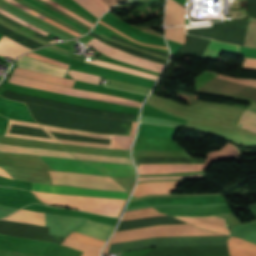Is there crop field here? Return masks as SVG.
I'll list each match as a JSON object with an SVG mask.
<instances>
[{
	"mask_svg": "<svg viewBox=\"0 0 256 256\" xmlns=\"http://www.w3.org/2000/svg\"><path fill=\"white\" fill-rule=\"evenodd\" d=\"M32 191L54 193V194H65V195H79V196H91L111 199L125 200L128 193L119 192H108L90 190L78 187L69 186H51L45 184H39L33 182ZM37 198L41 201L52 204L62 205L69 208L80 209L98 214H104L109 216H118L125 201L90 198V197H79V196H65V195H54L45 193L33 192Z\"/></svg>",
	"mask_w": 256,
	"mask_h": 256,
	"instance_id": "1",
	"label": "crop field"
},
{
	"mask_svg": "<svg viewBox=\"0 0 256 256\" xmlns=\"http://www.w3.org/2000/svg\"><path fill=\"white\" fill-rule=\"evenodd\" d=\"M229 237L154 238L111 245L108 253L161 245H227Z\"/></svg>",
	"mask_w": 256,
	"mask_h": 256,
	"instance_id": "2",
	"label": "crop field"
},
{
	"mask_svg": "<svg viewBox=\"0 0 256 256\" xmlns=\"http://www.w3.org/2000/svg\"><path fill=\"white\" fill-rule=\"evenodd\" d=\"M9 83L23 85L26 87L37 88V89L50 91V92L65 93V94L74 95V96L111 101V102H116V103L125 104V105L140 107L142 104L140 102H136V101L120 98V97L93 93V92L77 90V89H71V88H65V87H61L53 84L40 83L33 80L15 77V76L11 77V79L9 80Z\"/></svg>",
	"mask_w": 256,
	"mask_h": 256,
	"instance_id": "3",
	"label": "crop field"
},
{
	"mask_svg": "<svg viewBox=\"0 0 256 256\" xmlns=\"http://www.w3.org/2000/svg\"><path fill=\"white\" fill-rule=\"evenodd\" d=\"M40 157L54 170L105 175L103 172L99 171L98 169L86 163H83L81 161H74V160L46 157V156H40Z\"/></svg>",
	"mask_w": 256,
	"mask_h": 256,
	"instance_id": "4",
	"label": "crop field"
},
{
	"mask_svg": "<svg viewBox=\"0 0 256 256\" xmlns=\"http://www.w3.org/2000/svg\"><path fill=\"white\" fill-rule=\"evenodd\" d=\"M203 165L152 164L139 165V174H161L171 172L201 171Z\"/></svg>",
	"mask_w": 256,
	"mask_h": 256,
	"instance_id": "5",
	"label": "crop field"
},
{
	"mask_svg": "<svg viewBox=\"0 0 256 256\" xmlns=\"http://www.w3.org/2000/svg\"><path fill=\"white\" fill-rule=\"evenodd\" d=\"M248 85L215 78L207 82L203 86H201L198 90L208 91L213 93H221V94L232 96L235 93L242 90L243 88L247 87Z\"/></svg>",
	"mask_w": 256,
	"mask_h": 256,
	"instance_id": "6",
	"label": "crop field"
},
{
	"mask_svg": "<svg viewBox=\"0 0 256 256\" xmlns=\"http://www.w3.org/2000/svg\"><path fill=\"white\" fill-rule=\"evenodd\" d=\"M18 65L21 68L29 69V70H34L54 76H60L64 77V75L67 73V70H64L62 68L54 67L52 65H49L45 62L38 61L32 58L28 57H21L18 61Z\"/></svg>",
	"mask_w": 256,
	"mask_h": 256,
	"instance_id": "7",
	"label": "crop field"
},
{
	"mask_svg": "<svg viewBox=\"0 0 256 256\" xmlns=\"http://www.w3.org/2000/svg\"><path fill=\"white\" fill-rule=\"evenodd\" d=\"M208 217H211V216H208ZM217 217H211V218H178V219L184 220V221H186V222H188L192 225H195L197 227L207 229V230H210V231H214V232H218V233L227 234V231H228V234L230 235L229 230H228V226L225 222L226 227H227V231H226L225 224H224L225 220L223 221L222 220L223 218L220 219L221 217L220 218H217Z\"/></svg>",
	"mask_w": 256,
	"mask_h": 256,
	"instance_id": "8",
	"label": "crop field"
},
{
	"mask_svg": "<svg viewBox=\"0 0 256 256\" xmlns=\"http://www.w3.org/2000/svg\"><path fill=\"white\" fill-rule=\"evenodd\" d=\"M115 227L101 224V223H96L87 220L82 226H80L76 231L77 232H82L86 235L95 237L97 239L105 240L109 238L111 233L113 232Z\"/></svg>",
	"mask_w": 256,
	"mask_h": 256,
	"instance_id": "9",
	"label": "crop field"
},
{
	"mask_svg": "<svg viewBox=\"0 0 256 256\" xmlns=\"http://www.w3.org/2000/svg\"><path fill=\"white\" fill-rule=\"evenodd\" d=\"M88 163L98 167L99 169H101L103 172L107 173L110 176L135 178V169L133 165L98 163V162H88Z\"/></svg>",
	"mask_w": 256,
	"mask_h": 256,
	"instance_id": "10",
	"label": "crop field"
},
{
	"mask_svg": "<svg viewBox=\"0 0 256 256\" xmlns=\"http://www.w3.org/2000/svg\"><path fill=\"white\" fill-rule=\"evenodd\" d=\"M12 74L21 76V77H26V78L36 79V80H40V81H44V82L71 86V87L74 82L72 80H68L65 78L62 79V78L49 76V75H45V74H41V73L29 71V70L19 69V68H15Z\"/></svg>",
	"mask_w": 256,
	"mask_h": 256,
	"instance_id": "11",
	"label": "crop field"
},
{
	"mask_svg": "<svg viewBox=\"0 0 256 256\" xmlns=\"http://www.w3.org/2000/svg\"><path fill=\"white\" fill-rule=\"evenodd\" d=\"M185 24V8L174 0H167L166 26Z\"/></svg>",
	"mask_w": 256,
	"mask_h": 256,
	"instance_id": "12",
	"label": "crop field"
},
{
	"mask_svg": "<svg viewBox=\"0 0 256 256\" xmlns=\"http://www.w3.org/2000/svg\"><path fill=\"white\" fill-rule=\"evenodd\" d=\"M32 50L5 36L0 40V55L16 59L20 54Z\"/></svg>",
	"mask_w": 256,
	"mask_h": 256,
	"instance_id": "13",
	"label": "crop field"
},
{
	"mask_svg": "<svg viewBox=\"0 0 256 256\" xmlns=\"http://www.w3.org/2000/svg\"><path fill=\"white\" fill-rule=\"evenodd\" d=\"M4 220L45 225V213L21 209Z\"/></svg>",
	"mask_w": 256,
	"mask_h": 256,
	"instance_id": "14",
	"label": "crop field"
},
{
	"mask_svg": "<svg viewBox=\"0 0 256 256\" xmlns=\"http://www.w3.org/2000/svg\"><path fill=\"white\" fill-rule=\"evenodd\" d=\"M238 151L232 145L227 143L223 148L215 152H209L208 158L202 169H206L208 164L213 160L230 159L235 158Z\"/></svg>",
	"mask_w": 256,
	"mask_h": 256,
	"instance_id": "15",
	"label": "crop field"
},
{
	"mask_svg": "<svg viewBox=\"0 0 256 256\" xmlns=\"http://www.w3.org/2000/svg\"><path fill=\"white\" fill-rule=\"evenodd\" d=\"M96 17H100L109 8L101 0H75Z\"/></svg>",
	"mask_w": 256,
	"mask_h": 256,
	"instance_id": "16",
	"label": "crop field"
},
{
	"mask_svg": "<svg viewBox=\"0 0 256 256\" xmlns=\"http://www.w3.org/2000/svg\"><path fill=\"white\" fill-rule=\"evenodd\" d=\"M89 63L104 66V67H108V68H112V69H116V70H120V71H124V72H128V73H132V74H136V75H140V76L155 79V80L158 77L156 75L140 72V71H137L135 69H131V68H127V67H123V66H119V65L99 61V60L90 61Z\"/></svg>",
	"mask_w": 256,
	"mask_h": 256,
	"instance_id": "17",
	"label": "crop field"
},
{
	"mask_svg": "<svg viewBox=\"0 0 256 256\" xmlns=\"http://www.w3.org/2000/svg\"><path fill=\"white\" fill-rule=\"evenodd\" d=\"M219 78L256 86V81H254V80H233V79H229V78H225V77H221V76H219ZM253 86H250V87L244 89L243 91L239 92L238 94H236L234 96L247 98V99L256 101V87H253Z\"/></svg>",
	"mask_w": 256,
	"mask_h": 256,
	"instance_id": "18",
	"label": "crop field"
},
{
	"mask_svg": "<svg viewBox=\"0 0 256 256\" xmlns=\"http://www.w3.org/2000/svg\"><path fill=\"white\" fill-rule=\"evenodd\" d=\"M237 125L256 133V113L245 110Z\"/></svg>",
	"mask_w": 256,
	"mask_h": 256,
	"instance_id": "19",
	"label": "crop field"
},
{
	"mask_svg": "<svg viewBox=\"0 0 256 256\" xmlns=\"http://www.w3.org/2000/svg\"><path fill=\"white\" fill-rule=\"evenodd\" d=\"M63 245H68L71 246L77 250H81V251H85V252H91V253H99L100 248L98 247H93V246H89V245H85L79 242H75L69 239H66L62 242ZM83 253L82 256H98L96 254H90V253Z\"/></svg>",
	"mask_w": 256,
	"mask_h": 256,
	"instance_id": "20",
	"label": "crop field"
},
{
	"mask_svg": "<svg viewBox=\"0 0 256 256\" xmlns=\"http://www.w3.org/2000/svg\"><path fill=\"white\" fill-rule=\"evenodd\" d=\"M207 48L239 56L238 47L233 45L223 44L211 40Z\"/></svg>",
	"mask_w": 256,
	"mask_h": 256,
	"instance_id": "21",
	"label": "crop field"
},
{
	"mask_svg": "<svg viewBox=\"0 0 256 256\" xmlns=\"http://www.w3.org/2000/svg\"><path fill=\"white\" fill-rule=\"evenodd\" d=\"M184 28L185 26L167 28L166 38L183 44L185 41Z\"/></svg>",
	"mask_w": 256,
	"mask_h": 256,
	"instance_id": "22",
	"label": "crop field"
},
{
	"mask_svg": "<svg viewBox=\"0 0 256 256\" xmlns=\"http://www.w3.org/2000/svg\"><path fill=\"white\" fill-rule=\"evenodd\" d=\"M68 74L78 80H82V81H86V82H90V83H94V84H99V78H100L99 76H95L92 74L79 72V71H73V70H70L68 72Z\"/></svg>",
	"mask_w": 256,
	"mask_h": 256,
	"instance_id": "23",
	"label": "crop field"
},
{
	"mask_svg": "<svg viewBox=\"0 0 256 256\" xmlns=\"http://www.w3.org/2000/svg\"><path fill=\"white\" fill-rule=\"evenodd\" d=\"M245 46L256 47V19L250 18Z\"/></svg>",
	"mask_w": 256,
	"mask_h": 256,
	"instance_id": "24",
	"label": "crop field"
},
{
	"mask_svg": "<svg viewBox=\"0 0 256 256\" xmlns=\"http://www.w3.org/2000/svg\"><path fill=\"white\" fill-rule=\"evenodd\" d=\"M0 13L5 15V16H7V17H9V18H11V19H13L14 21H16V22H18V23H20V24H22V25H24V26H26V27H28V28H30V29L40 33V34H42V35H44V36L49 34V33L45 32V31H43V30H41V29H39V28H37V27H35V26L25 22L24 20H22V19H20V18H18L16 16H14V15H12V14L4 11V10H2V9H0Z\"/></svg>",
	"mask_w": 256,
	"mask_h": 256,
	"instance_id": "25",
	"label": "crop field"
},
{
	"mask_svg": "<svg viewBox=\"0 0 256 256\" xmlns=\"http://www.w3.org/2000/svg\"><path fill=\"white\" fill-rule=\"evenodd\" d=\"M36 1H38V2H40L41 4H43V5L47 6V7H49L50 9L56 11L57 13H59V14L65 16L66 18L72 20L73 22H75V23H77V24H79V25H81V26H83V27H85V28H87V29H89V30L91 29V27L86 26L85 24H83V23H81L80 21L76 20V19L73 18L72 16H70V15H68V14H66V13H64V12H62L61 10L55 8L54 6H52V5H50V4L46 3V2H44V1H42V0H36Z\"/></svg>",
	"mask_w": 256,
	"mask_h": 256,
	"instance_id": "26",
	"label": "crop field"
},
{
	"mask_svg": "<svg viewBox=\"0 0 256 256\" xmlns=\"http://www.w3.org/2000/svg\"><path fill=\"white\" fill-rule=\"evenodd\" d=\"M202 175H188V176H173V177H139L138 182L145 180H156V179H178V178H197Z\"/></svg>",
	"mask_w": 256,
	"mask_h": 256,
	"instance_id": "27",
	"label": "crop field"
},
{
	"mask_svg": "<svg viewBox=\"0 0 256 256\" xmlns=\"http://www.w3.org/2000/svg\"><path fill=\"white\" fill-rule=\"evenodd\" d=\"M28 56L34 57V58L39 59V60L47 61V62H49V63H51L53 65H56V66H60V67L66 68V69L68 68L67 64L60 63L58 61L49 59V58L44 57V56H40V55H37V54H34V53L28 54Z\"/></svg>",
	"mask_w": 256,
	"mask_h": 256,
	"instance_id": "28",
	"label": "crop field"
},
{
	"mask_svg": "<svg viewBox=\"0 0 256 256\" xmlns=\"http://www.w3.org/2000/svg\"><path fill=\"white\" fill-rule=\"evenodd\" d=\"M46 1L49 2V3H51L52 5H54L55 7L61 9L62 11H64V12H66V13H68V14H70V15L76 17V18H78L79 20L83 21L85 24H87V25H89V26H91V27L93 26V24H91L90 22H88V21L85 20L84 18H82V17H80V16H78V15L72 13L71 11L65 9L64 7H62L61 5H59L58 3H56V2H54V1H52V0H46Z\"/></svg>",
	"mask_w": 256,
	"mask_h": 256,
	"instance_id": "29",
	"label": "crop field"
},
{
	"mask_svg": "<svg viewBox=\"0 0 256 256\" xmlns=\"http://www.w3.org/2000/svg\"><path fill=\"white\" fill-rule=\"evenodd\" d=\"M6 1H8L9 3H11V4H13V5H15V6L21 8L23 10H25L26 12H28V13H30V14H32V15H34V16L42 19V20H44V18H45V16H43V15H41V14H39V13H37V12H35V11H33V10H31V9H29V8H27V7L23 6V5L15 2V1H13V0H6Z\"/></svg>",
	"mask_w": 256,
	"mask_h": 256,
	"instance_id": "30",
	"label": "crop field"
},
{
	"mask_svg": "<svg viewBox=\"0 0 256 256\" xmlns=\"http://www.w3.org/2000/svg\"><path fill=\"white\" fill-rule=\"evenodd\" d=\"M97 26H99V27H101V28H103V29H105V30H107V31H109V32H111V33H113V34H115V35H117V36H119V37H121V38L127 40V41H130V40H128V39L122 37L121 35H119V34L113 32V31L110 30L109 28H107V27H105V26H103V25H101V24H99V23H97ZM130 42H132V41H130ZM132 43H134V42H132ZM134 44H136V43H134ZM137 45H139V46H141V47H147V48H151V49H155V50H159V51H163V52H167V53H168V50H165V49H157V48L148 47V46H144V45H140V44H137Z\"/></svg>",
	"mask_w": 256,
	"mask_h": 256,
	"instance_id": "31",
	"label": "crop field"
},
{
	"mask_svg": "<svg viewBox=\"0 0 256 256\" xmlns=\"http://www.w3.org/2000/svg\"><path fill=\"white\" fill-rule=\"evenodd\" d=\"M54 1H56V2H58L59 4L65 6L66 8H68V9H70V10L76 12V13L79 14L80 16L84 17V18L87 19L88 21H90V22H92V23L95 24L96 21H94V20H92V19H90V18L84 16L83 14H81L80 12H78L77 10H75L74 8L70 7V6L67 5L66 3L62 2L61 0H54Z\"/></svg>",
	"mask_w": 256,
	"mask_h": 256,
	"instance_id": "32",
	"label": "crop field"
},
{
	"mask_svg": "<svg viewBox=\"0 0 256 256\" xmlns=\"http://www.w3.org/2000/svg\"><path fill=\"white\" fill-rule=\"evenodd\" d=\"M99 23H101V24H103V25L109 27L110 29L114 30L115 32H117V33H119V34H121V35H123V36H125L126 38H128V39H130V40H133V39L129 38L127 35H125V34L119 32V31L116 30L115 28H113V27H111V26L105 24L104 22H102V21H100V20H99ZM133 41H135V40H133ZM135 42H138V41H135ZM138 43H141V42H138ZM141 44H144V43H141ZM144 45H148V44H144ZM148 46L159 47V48H166V49H167V47H160V46H156V45H148Z\"/></svg>",
	"mask_w": 256,
	"mask_h": 256,
	"instance_id": "33",
	"label": "crop field"
},
{
	"mask_svg": "<svg viewBox=\"0 0 256 256\" xmlns=\"http://www.w3.org/2000/svg\"><path fill=\"white\" fill-rule=\"evenodd\" d=\"M244 67L256 68V60L246 59Z\"/></svg>",
	"mask_w": 256,
	"mask_h": 256,
	"instance_id": "34",
	"label": "crop field"
},
{
	"mask_svg": "<svg viewBox=\"0 0 256 256\" xmlns=\"http://www.w3.org/2000/svg\"><path fill=\"white\" fill-rule=\"evenodd\" d=\"M109 8L120 3L118 0H102Z\"/></svg>",
	"mask_w": 256,
	"mask_h": 256,
	"instance_id": "35",
	"label": "crop field"
},
{
	"mask_svg": "<svg viewBox=\"0 0 256 256\" xmlns=\"http://www.w3.org/2000/svg\"><path fill=\"white\" fill-rule=\"evenodd\" d=\"M0 175H3V176H6V177L11 178V177L9 176V174H8L6 171H4L3 169H1V168H0Z\"/></svg>",
	"mask_w": 256,
	"mask_h": 256,
	"instance_id": "36",
	"label": "crop field"
},
{
	"mask_svg": "<svg viewBox=\"0 0 256 256\" xmlns=\"http://www.w3.org/2000/svg\"><path fill=\"white\" fill-rule=\"evenodd\" d=\"M121 2L125 1V0H120Z\"/></svg>",
	"mask_w": 256,
	"mask_h": 256,
	"instance_id": "37",
	"label": "crop field"
}]
</instances>
